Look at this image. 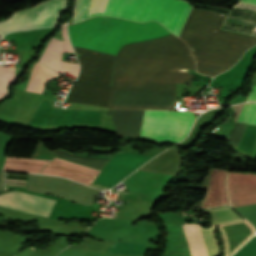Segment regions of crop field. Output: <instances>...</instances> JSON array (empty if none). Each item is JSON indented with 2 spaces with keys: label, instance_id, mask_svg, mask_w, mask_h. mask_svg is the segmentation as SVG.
<instances>
[{
  "label": "crop field",
  "instance_id": "obj_9",
  "mask_svg": "<svg viewBox=\"0 0 256 256\" xmlns=\"http://www.w3.org/2000/svg\"><path fill=\"white\" fill-rule=\"evenodd\" d=\"M150 158L151 156L119 151L114 154L94 183L111 187Z\"/></svg>",
  "mask_w": 256,
  "mask_h": 256
},
{
  "label": "crop field",
  "instance_id": "obj_1",
  "mask_svg": "<svg viewBox=\"0 0 256 256\" xmlns=\"http://www.w3.org/2000/svg\"><path fill=\"white\" fill-rule=\"evenodd\" d=\"M68 28L73 46L112 54L124 44L170 34L155 21L139 23L111 17H93ZM74 49L81 54V72L67 101L108 107L115 55Z\"/></svg>",
  "mask_w": 256,
  "mask_h": 256
},
{
  "label": "crop field",
  "instance_id": "obj_11",
  "mask_svg": "<svg viewBox=\"0 0 256 256\" xmlns=\"http://www.w3.org/2000/svg\"><path fill=\"white\" fill-rule=\"evenodd\" d=\"M56 201L41 198L18 191H11L0 195V205L17 210L49 216Z\"/></svg>",
  "mask_w": 256,
  "mask_h": 256
},
{
  "label": "crop field",
  "instance_id": "obj_14",
  "mask_svg": "<svg viewBox=\"0 0 256 256\" xmlns=\"http://www.w3.org/2000/svg\"><path fill=\"white\" fill-rule=\"evenodd\" d=\"M227 172L214 169L210 178L209 188L202 207H213L229 204L226 183Z\"/></svg>",
  "mask_w": 256,
  "mask_h": 256
},
{
  "label": "crop field",
  "instance_id": "obj_6",
  "mask_svg": "<svg viewBox=\"0 0 256 256\" xmlns=\"http://www.w3.org/2000/svg\"><path fill=\"white\" fill-rule=\"evenodd\" d=\"M195 117L192 112L145 110L139 138L178 142Z\"/></svg>",
  "mask_w": 256,
  "mask_h": 256
},
{
  "label": "crop field",
  "instance_id": "obj_8",
  "mask_svg": "<svg viewBox=\"0 0 256 256\" xmlns=\"http://www.w3.org/2000/svg\"><path fill=\"white\" fill-rule=\"evenodd\" d=\"M204 212L211 216V223L213 224L208 229H203L200 227L208 256H219L218 245L214 236L215 225L242 220V218L236 215L229 207L206 209ZM182 227L186 234L191 256H207L199 227L194 224Z\"/></svg>",
  "mask_w": 256,
  "mask_h": 256
},
{
  "label": "crop field",
  "instance_id": "obj_5",
  "mask_svg": "<svg viewBox=\"0 0 256 256\" xmlns=\"http://www.w3.org/2000/svg\"><path fill=\"white\" fill-rule=\"evenodd\" d=\"M176 84L112 83L109 108L175 109Z\"/></svg>",
  "mask_w": 256,
  "mask_h": 256
},
{
  "label": "crop field",
  "instance_id": "obj_3",
  "mask_svg": "<svg viewBox=\"0 0 256 256\" xmlns=\"http://www.w3.org/2000/svg\"><path fill=\"white\" fill-rule=\"evenodd\" d=\"M224 14L192 9L180 38L189 46L197 71L215 76L231 67L256 38L219 31Z\"/></svg>",
  "mask_w": 256,
  "mask_h": 256
},
{
  "label": "crop field",
  "instance_id": "obj_15",
  "mask_svg": "<svg viewBox=\"0 0 256 256\" xmlns=\"http://www.w3.org/2000/svg\"><path fill=\"white\" fill-rule=\"evenodd\" d=\"M62 45V41L53 38L39 59V62L55 69L59 73L66 71L74 76H77L79 72V65L61 61Z\"/></svg>",
  "mask_w": 256,
  "mask_h": 256
},
{
  "label": "crop field",
  "instance_id": "obj_21",
  "mask_svg": "<svg viewBox=\"0 0 256 256\" xmlns=\"http://www.w3.org/2000/svg\"><path fill=\"white\" fill-rule=\"evenodd\" d=\"M14 80V67L4 68L0 66V98L5 96V85L11 84Z\"/></svg>",
  "mask_w": 256,
  "mask_h": 256
},
{
  "label": "crop field",
  "instance_id": "obj_2",
  "mask_svg": "<svg viewBox=\"0 0 256 256\" xmlns=\"http://www.w3.org/2000/svg\"><path fill=\"white\" fill-rule=\"evenodd\" d=\"M178 68L195 69V62L186 43L170 34L123 46L112 82L190 84L193 75L180 74Z\"/></svg>",
  "mask_w": 256,
  "mask_h": 256
},
{
  "label": "crop field",
  "instance_id": "obj_16",
  "mask_svg": "<svg viewBox=\"0 0 256 256\" xmlns=\"http://www.w3.org/2000/svg\"><path fill=\"white\" fill-rule=\"evenodd\" d=\"M49 161L7 157L2 170L38 173Z\"/></svg>",
  "mask_w": 256,
  "mask_h": 256
},
{
  "label": "crop field",
  "instance_id": "obj_18",
  "mask_svg": "<svg viewBox=\"0 0 256 256\" xmlns=\"http://www.w3.org/2000/svg\"><path fill=\"white\" fill-rule=\"evenodd\" d=\"M149 244L116 241L106 252L143 256Z\"/></svg>",
  "mask_w": 256,
  "mask_h": 256
},
{
  "label": "crop field",
  "instance_id": "obj_10",
  "mask_svg": "<svg viewBox=\"0 0 256 256\" xmlns=\"http://www.w3.org/2000/svg\"><path fill=\"white\" fill-rule=\"evenodd\" d=\"M227 187L232 207L256 203V175L229 172Z\"/></svg>",
  "mask_w": 256,
  "mask_h": 256
},
{
  "label": "crop field",
  "instance_id": "obj_24",
  "mask_svg": "<svg viewBox=\"0 0 256 256\" xmlns=\"http://www.w3.org/2000/svg\"><path fill=\"white\" fill-rule=\"evenodd\" d=\"M242 2L256 4V0H241Z\"/></svg>",
  "mask_w": 256,
  "mask_h": 256
},
{
  "label": "crop field",
  "instance_id": "obj_17",
  "mask_svg": "<svg viewBox=\"0 0 256 256\" xmlns=\"http://www.w3.org/2000/svg\"><path fill=\"white\" fill-rule=\"evenodd\" d=\"M58 74L48 67L37 63L25 90L42 93L46 80L55 78Z\"/></svg>",
  "mask_w": 256,
  "mask_h": 256
},
{
  "label": "crop field",
  "instance_id": "obj_7",
  "mask_svg": "<svg viewBox=\"0 0 256 256\" xmlns=\"http://www.w3.org/2000/svg\"><path fill=\"white\" fill-rule=\"evenodd\" d=\"M66 7V0H49L31 10L17 12L10 19L0 23V34L3 36L10 31L56 25Z\"/></svg>",
  "mask_w": 256,
  "mask_h": 256
},
{
  "label": "crop field",
  "instance_id": "obj_19",
  "mask_svg": "<svg viewBox=\"0 0 256 256\" xmlns=\"http://www.w3.org/2000/svg\"><path fill=\"white\" fill-rule=\"evenodd\" d=\"M237 122L256 125V102L243 105Z\"/></svg>",
  "mask_w": 256,
  "mask_h": 256
},
{
  "label": "crop field",
  "instance_id": "obj_20",
  "mask_svg": "<svg viewBox=\"0 0 256 256\" xmlns=\"http://www.w3.org/2000/svg\"><path fill=\"white\" fill-rule=\"evenodd\" d=\"M91 0H77L75 14L72 18V24L81 22L87 19L88 11L90 7Z\"/></svg>",
  "mask_w": 256,
  "mask_h": 256
},
{
  "label": "crop field",
  "instance_id": "obj_22",
  "mask_svg": "<svg viewBox=\"0 0 256 256\" xmlns=\"http://www.w3.org/2000/svg\"><path fill=\"white\" fill-rule=\"evenodd\" d=\"M61 31L64 39L63 52H73L71 45L69 44V41H68L65 25L61 26Z\"/></svg>",
  "mask_w": 256,
  "mask_h": 256
},
{
  "label": "crop field",
  "instance_id": "obj_4",
  "mask_svg": "<svg viewBox=\"0 0 256 256\" xmlns=\"http://www.w3.org/2000/svg\"><path fill=\"white\" fill-rule=\"evenodd\" d=\"M190 9L181 0H92L88 18L108 15L139 22L156 20L178 35Z\"/></svg>",
  "mask_w": 256,
  "mask_h": 256
},
{
  "label": "crop field",
  "instance_id": "obj_23",
  "mask_svg": "<svg viewBox=\"0 0 256 256\" xmlns=\"http://www.w3.org/2000/svg\"><path fill=\"white\" fill-rule=\"evenodd\" d=\"M256 100V86H252V91L250 92L247 101H253Z\"/></svg>",
  "mask_w": 256,
  "mask_h": 256
},
{
  "label": "crop field",
  "instance_id": "obj_12",
  "mask_svg": "<svg viewBox=\"0 0 256 256\" xmlns=\"http://www.w3.org/2000/svg\"><path fill=\"white\" fill-rule=\"evenodd\" d=\"M40 173L62 176L90 185L99 170L54 157Z\"/></svg>",
  "mask_w": 256,
  "mask_h": 256
},
{
  "label": "crop field",
  "instance_id": "obj_13",
  "mask_svg": "<svg viewBox=\"0 0 256 256\" xmlns=\"http://www.w3.org/2000/svg\"><path fill=\"white\" fill-rule=\"evenodd\" d=\"M219 229L225 247V256L234 253L255 232L246 220L219 225Z\"/></svg>",
  "mask_w": 256,
  "mask_h": 256
}]
</instances>
